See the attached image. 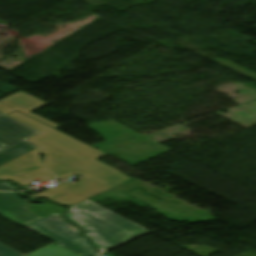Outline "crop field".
<instances>
[{"label": "crop field", "instance_id": "1", "mask_svg": "<svg viewBox=\"0 0 256 256\" xmlns=\"http://www.w3.org/2000/svg\"><path fill=\"white\" fill-rule=\"evenodd\" d=\"M8 116L43 132L27 140L41 148L45 155L46 168L58 178H67L74 174L83 176L78 183L56 185L31 196L32 199L45 196L58 204L73 205L132 180L122 172L96 160L106 154L17 111Z\"/></svg>", "mask_w": 256, "mask_h": 256}, {"label": "crop field", "instance_id": "2", "mask_svg": "<svg viewBox=\"0 0 256 256\" xmlns=\"http://www.w3.org/2000/svg\"><path fill=\"white\" fill-rule=\"evenodd\" d=\"M69 211L100 214L107 210L84 200ZM68 217L89 231L87 234L93 238L94 245L103 252L150 232L109 211L101 216L69 214Z\"/></svg>", "mask_w": 256, "mask_h": 256}, {"label": "crop field", "instance_id": "3", "mask_svg": "<svg viewBox=\"0 0 256 256\" xmlns=\"http://www.w3.org/2000/svg\"><path fill=\"white\" fill-rule=\"evenodd\" d=\"M80 256L97 255L79 230L63 221L60 212L25 226Z\"/></svg>", "mask_w": 256, "mask_h": 256}, {"label": "crop field", "instance_id": "4", "mask_svg": "<svg viewBox=\"0 0 256 256\" xmlns=\"http://www.w3.org/2000/svg\"><path fill=\"white\" fill-rule=\"evenodd\" d=\"M53 180L54 175L42 166L38 148L0 166V179H9L24 187L35 178Z\"/></svg>", "mask_w": 256, "mask_h": 256}, {"label": "crop field", "instance_id": "5", "mask_svg": "<svg viewBox=\"0 0 256 256\" xmlns=\"http://www.w3.org/2000/svg\"><path fill=\"white\" fill-rule=\"evenodd\" d=\"M38 132L6 116L0 118V165L36 148L22 139Z\"/></svg>", "mask_w": 256, "mask_h": 256}, {"label": "crop field", "instance_id": "6", "mask_svg": "<svg viewBox=\"0 0 256 256\" xmlns=\"http://www.w3.org/2000/svg\"><path fill=\"white\" fill-rule=\"evenodd\" d=\"M0 214L22 225L41 219L31 213L29 204L15 193L0 192Z\"/></svg>", "mask_w": 256, "mask_h": 256}, {"label": "crop field", "instance_id": "7", "mask_svg": "<svg viewBox=\"0 0 256 256\" xmlns=\"http://www.w3.org/2000/svg\"><path fill=\"white\" fill-rule=\"evenodd\" d=\"M1 103L15 109V110H18L46 125H49L51 127H54V128H59L61 126L57 125V124H54L30 111L46 104L45 102L23 92V91H20L10 97H7L3 100L0 101Z\"/></svg>", "mask_w": 256, "mask_h": 256}, {"label": "crop field", "instance_id": "8", "mask_svg": "<svg viewBox=\"0 0 256 256\" xmlns=\"http://www.w3.org/2000/svg\"><path fill=\"white\" fill-rule=\"evenodd\" d=\"M24 256H78L65 248L52 243L42 248L23 254Z\"/></svg>", "mask_w": 256, "mask_h": 256}, {"label": "crop field", "instance_id": "9", "mask_svg": "<svg viewBox=\"0 0 256 256\" xmlns=\"http://www.w3.org/2000/svg\"><path fill=\"white\" fill-rule=\"evenodd\" d=\"M64 208L61 206H55L52 204H47V203H43V204H38V205H30V211L39 215L40 217H45L47 215H50L52 213L58 212L63 210Z\"/></svg>", "mask_w": 256, "mask_h": 256}, {"label": "crop field", "instance_id": "10", "mask_svg": "<svg viewBox=\"0 0 256 256\" xmlns=\"http://www.w3.org/2000/svg\"><path fill=\"white\" fill-rule=\"evenodd\" d=\"M0 256H22V255L0 245Z\"/></svg>", "mask_w": 256, "mask_h": 256}, {"label": "crop field", "instance_id": "11", "mask_svg": "<svg viewBox=\"0 0 256 256\" xmlns=\"http://www.w3.org/2000/svg\"><path fill=\"white\" fill-rule=\"evenodd\" d=\"M0 190L19 191L18 188L10 185L8 182H0Z\"/></svg>", "mask_w": 256, "mask_h": 256}, {"label": "crop field", "instance_id": "12", "mask_svg": "<svg viewBox=\"0 0 256 256\" xmlns=\"http://www.w3.org/2000/svg\"><path fill=\"white\" fill-rule=\"evenodd\" d=\"M13 111H15V110H13V109H11V108H9V107H7V106H4V105H2V104H0V112L1 113H3V114H8V113H10V112H13Z\"/></svg>", "mask_w": 256, "mask_h": 256}, {"label": "crop field", "instance_id": "13", "mask_svg": "<svg viewBox=\"0 0 256 256\" xmlns=\"http://www.w3.org/2000/svg\"><path fill=\"white\" fill-rule=\"evenodd\" d=\"M3 116L2 114H0V117Z\"/></svg>", "mask_w": 256, "mask_h": 256}]
</instances>
